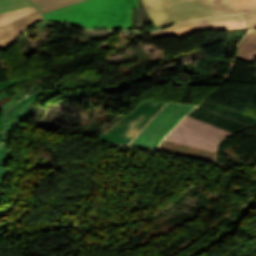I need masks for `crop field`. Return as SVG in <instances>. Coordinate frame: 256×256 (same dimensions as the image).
Masks as SVG:
<instances>
[{"label":"crop field","mask_w":256,"mask_h":256,"mask_svg":"<svg viewBox=\"0 0 256 256\" xmlns=\"http://www.w3.org/2000/svg\"><path fill=\"white\" fill-rule=\"evenodd\" d=\"M138 0H84L44 13V21L67 22L89 29H133Z\"/></svg>","instance_id":"8a807250"},{"label":"crop field","mask_w":256,"mask_h":256,"mask_svg":"<svg viewBox=\"0 0 256 256\" xmlns=\"http://www.w3.org/2000/svg\"><path fill=\"white\" fill-rule=\"evenodd\" d=\"M155 28L215 16L210 0H142Z\"/></svg>","instance_id":"ac0d7876"},{"label":"crop field","mask_w":256,"mask_h":256,"mask_svg":"<svg viewBox=\"0 0 256 256\" xmlns=\"http://www.w3.org/2000/svg\"><path fill=\"white\" fill-rule=\"evenodd\" d=\"M196 105L170 102L140 131L128 147L154 152L172 127Z\"/></svg>","instance_id":"34b2d1b8"},{"label":"crop field","mask_w":256,"mask_h":256,"mask_svg":"<svg viewBox=\"0 0 256 256\" xmlns=\"http://www.w3.org/2000/svg\"><path fill=\"white\" fill-rule=\"evenodd\" d=\"M167 103L144 100L134 110L105 131L101 139L110 144L127 147L148 121Z\"/></svg>","instance_id":"412701ff"},{"label":"crop field","mask_w":256,"mask_h":256,"mask_svg":"<svg viewBox=\"0 0 256 256\" xmlns=\"http://www.w3.org/2000/svg\"><path fill=\"white\" fill-rule=\"evenodd\" d=\"M229 133L186 116L165 139L216 152L217 143Z\"/></svg>","instance_id":"f4fd0767"},{"label":"crop field","mask_w":256,"mask_h":256,"mask_svg":"<svg viewBox=\"0 0 256 256\" xmlns=\"http://www.w3.org/2000/svg\"><path fill=\"white\" fill-rule=\"evenodd\" d=\"M244 27H246L244 16L240 14L179 23L150 34L152 40H155L167 36L184 37L199 31L229 30Z\"/></svg>","instance_id":"dd49c442"},{"label":"crop field","mask_w":256,"mask_h":256,"mask_svg":"<svg viewBox=\"0 0 256 256\" xmlns=\"http://www.w3.org/2000/svg\"><path fill=\"white\" fill-rule=\"evenodd\" d=\"M42 94L44 93L43 90H40L32 95H30L29 97L25 98L24 100H22L20 103H18L17 105H15L7 114V118H6V129H5V136H4V144L0 147V165L3 166L5 164V162L10 159L11 155L5 154L6 152V142H7V138H8V133L10 131L11 128V123L15 122H19L21 121V118L24 117L26 115V113L28 111H30V109H32L33 107H35L37 104L35 97L39 96L38 94Z\"/></svg>","instance_id":"e52e79f7"},{"label":"crop field","mask_w":256,"mask_h":256,"mask_svg":"<svg viewBox=\"0 0 256 256\" xmlns=\"http://www.w3.org/2000/svg\"><path fill=\"white\" fill-rule=\"evenodd\" d=\"M43 21L39 11L6 27L0 28V49L10 48L19 36L34 24Z\"/></svg>","instance_id":"d8731c3e"},{"label":"crop field","mask_w":256,"mask_h":256,"mask_svg":"<svg viewBox=\"0 0 256 256\" xmlns=\"http://www.w3.org/2000/svg\"><path fill=\"white\" fill-rule=\"evenodd\" d=\"M158 152H164L184 157H189L193 159L208 161V162H215L216 153L170 142L163 140L161 145L156 150Z\"/></svg>","instance_id":"5a996713"},{"label":"crop field","mask_w":256,"mask_h":256,"mask_svg":"<svg viewBox=\"0 0 256 256\" xmlns=\"http://www.w3.org/2000/svg\"><path fill=\"white\" fill-rule=\"evenodd\" d=\"M33 3L41 13L53 10L55 8L74 3L80 0H29Z\"/></svg>","instance_id":"3316defc"},{"label":"crop field","mask_w":256,"mask_h":256,"mask_svg":"<svg viewBox=\"0 0 256 256\" xmlns=\"http://www.w3.org/2000/svg\"><path fill=\"white\" fill-rule=\"evenodd\" d=\"M36 10L37 9H35L32 6V7L26 8V9L0 14V27L6 26V25L36 11Z\"/></svg>","instance_id":"28ad6ade"},{"label":"crop field","mask_w":256,"mask_h":256,"mask_svg":"<svg viewBox=\"0 0 256 256\" xmlns=\"http://www.w3.org/2000/svg\"><path fill=\"white\" fill-rule=\"evenodd\" d=\"M32 6L27 0H0V13Z\"/></svg>","instance_id":"d1516ede"},{"label":"crop field","mask_w":256,"mask_h":256,"mask_svg":"<svg viewBox=\"0 0 256 256\" xmlns=\"http://www.w3.org/2000/svg\"><path fill=\"white\" fill-rule=\"evenodd\" d=\"M216 16L235 14L230 0H211Z\"/></svg>","instance_id":"22f410ed"},{"label":"crop field","mask_w":256,"mask_h":256,"mask_svg":"<svg viewBox=\"0 0 256 256\" xmlns=\"http://www.w3.org/2000/svg\"><path fill=\"white\" fill-rule=\"evenodd\" d=\"M236 13L256 11L252 0H231Z\"/></svg>","instance_id":"cbeb9de0"},{"label":"crop field","mask_w":256,"mask_h":256,"mask_svg":"<svg viewBox=\"0 0 256 256\" xmlns=\"http://www.w3.org/2000/svg\"><path fill=\"white\" fill-rule=\"evenodd\" d=\"M256 57V37L245 47L238 59L251 62Z\"/></svg>","instance_id":"5142ce71"},{"label":"crop field","mask_w":256,"mask_h":256,"mask_svg":"<svg viewBox=\"0 0 256 256\" xmlns=\"http://www.w3.org/2000/svg\"><path fill=\"white\" fill-rule=\"evenodd\" d=\"M29 78L30 77H25V78H21V79L9 81V82L0 83V101L10 97L3 89L10 87L12 85H15V84H17L23 80L29 79Z\"/></svg>","instance_id":"d9b57169"},{"label":"crop field","mask_w":256,"mask_h":256,"mask_svg":"<svg viewBox=\"0 0 256 256\" xmlns=\"http://www.w3.org/2000/svg\"><path fill=\"white\" fill-rule=\"evenodd\" d=\"M256 36V29L252 30L251 32H249L245 38L241 41V43L238 46L237 49V53H236V59L238 58V56L240 55V53L242 52V50L244 49V47L247 45V43Z\"/></svg>","instance_id":"733c2abd"},{"label":"crop field","mask_w":256,"mask_h":256,"mask_svg":"<svg viewBox=\"0 0 256 256\" xmlns=\"http://www.w3.org/2000/svg\"><path fill=\"white\" fill-rule=\"evenodd\" d=\"M9 171H10L9 168L0 166V184H2L3 180L5 179Z\"/></svg>","instance_id":"4a817a6b"},{"label":"crop field","mask_w":256,"mask_h":256,"mask_svg":"<svg viewBox=\"0 0 256 256\" xmlns=\"http://www.w3.org/2000/svg\"><path fill=\"white\" fill-rule=\"evenodd\" d=\"M6 112L2 111L1 115H0V126L4 127V115Z\"/></svg>","instance_id":"bc2a9ffb"},{"label":"crop field","mask_w":256,"mask_h":256,"mask_svg":"<svg viewBox=\"0 0 256 256\" xmlns=\"http://www.w3.org/2000/svg\"><path fill=\"white\" fill-rule=\"evenodd\" d=\"M3 129H4V128H1V127H0V131H3ZM2 135H3V133H0V141H2Z\"/></svg>","instance_id":"214f88e0"},{"label":"crop field","mask_w":256,"mask_h":256,"mask_svg":"<svg viewBox=\"0 0 256 256\" xmlns=\"http://www.w3.org/2000/svg\"><path fill=\"white\" fill-rule=\"evenodd\" d=\"M254 1V4H255V7H256V0H253Z\"/></svg>","instance_id":"92a150f3"}]
</instances>
